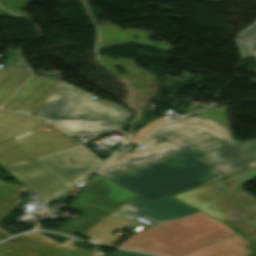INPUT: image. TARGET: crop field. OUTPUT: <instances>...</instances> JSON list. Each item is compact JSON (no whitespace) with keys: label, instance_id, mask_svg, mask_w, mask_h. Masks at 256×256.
<instances>
[{"label":"crop field","instance_id":"22f410ed","mask_svg":"<svg viewBox=\"0 0 256 256\" xmlns=\"http://www.w3.org/2000/svg\"><path fill=\"white\" fill-rule=\"evenodd\" d=\"M13 240L46 256H61L76 248L72 239L59 244L38 233L23 234Z\"/></svg>","mask_w":256,"mask_h":256},{"label":"crop field","instance_id":"733c2abd","mask_svg":"<svg viewBox=\"0 0 256 256\" xmlns=\"http://www.w3.org/2000/svg\"><path fill=\"white\" fill-rule=\"evenodd\" d=\"M239 44L244 52V57L256 56V51L254 50V46L256 45V24L242 33L239 38Z\"/></svg>","mask_w":256,"mask_h":256},{"label":"crop field","instance_id":"d8731c3e","mask_svg":"<svg viewBox=\"0 0 256 256\" xmlns=\"http://www.w3.org/2000/svg\"><path fill=\"white\" fill-rule=\"evenodd\" d=\"M195 212L198 211L170 196L151 202L138 195L111 213L110 216L130 221L141 217L158 225Z\"/></svg>","mask_w":256,"mask_h":256},{"label":"crop field","instance_id":"214f88e0","mask_svg":"<svg viewBox=\"0 0 256 256\" xmlns=\"http://www.w3.org/2000/svg\"><path fill=\"white\" fill-rule=\"evenodd\" d=\"M175 122H181V123H187V124H191V125H195V126L206 127L208 129H210L211 131H213L214 133H216L217 135H219L220 137H222L223 139L231 142V137L226 132L220 130L219 128H217L216 126L212 125L211 123H209L207 121L194 120V119H181V120H177Z\"/></svg>","mask_w":256,"mask_h":256},{"label":"crop field","instance_id":"730fd06b","mask_svg":"<svg viewBox=\"0 0 256 256\" xmlns=\"http://www.w3.org/2000/svg\"><path fill=\"white\" fill-rule=\"evenodd\" d=\"M253 247H256V244L249 246V248H253ZM255 251H256V249H255ZM254 256H256V255H254Z\"/></svg>","mask_w":256,"mask_h":256},{"label":"crop field","instance_id":"412701ff","mask_svg":"<svg viewBox=\"0 0 256 256\" xmlns=\"http://www.w3.org/2000/svg\"><path fill=\"white\" fill-rule=\"evenodd\" d=\"M233 233L235 231L226 225L198 212L155 227L147 226L128 238L120 247L180 256Z\"/></svg>","mask_w":256,"mask_h":256},{"label":"crop field","instance_id":"eef30255","mask_svg":"<svg viewBox=\"0 0 256 256\" xmlns=\"http://www.w3.org/2000/svg\"><path fill=\"white\" fill-rule=\"evenodd\" d=\"M211 1H221V0H211Z\"/></svg>","mask_w":256,"mask_h":256},{"label":"crop field","instance_id":"a9b5d70f","mask_svg":"<svg viewBox=\"0 0 256 256\" xmlns=\"http://www.w3.org/2000/svg\"><path fill=\"white\" fill-rule=\"evenodd\" d=\"M11 74V72L0 70V84Z\"/></svg>","mask_w":256,"mask_h":256},{"label":"crop field","instance_id":"ac0d7876","mask_svg":"<svg viewBox=\"0 0 256 256\" xmlns=\"http://www.w3.org/2000/svg\"><path fill=\"white\" fill-rule=\"evenodd\" d=\"M232 144L256 161V138ZM256 177V167L195 189L174 195L214 218L239 229L256 242V197L241 189V184ZM222 182L224 186H221ZM248 239V240H249Z\"/></svg>","mask_w":256,"mask_h":256},{"label":"crop field","instance_id":"92a150f3","mask_svg":"<svg viewBox=\"0 0 256 256\" xmlns=\"http://www.w3.org/2000/svg\"><path fill=\"white\" fill-rule=\"evenodd\" d=\"M63 256H104V255H102L100 252H98L95 249L88 251V250L77 247L76 249L72 250L71 252Z\"/></svg>","mask_w":256,"mask_h":256},{"label":"crop field","instance_id":"28ad6ade","mask_svg":"<svg viewBox=\"0 0 256 256\" xmlns=\"http://www.w3.org/2000/svg\"><path fill=\"white\" fill-rule=\"evenodd\" d=\"M249 243L236 233L183 256H248L253 253L246 249Z\"/></svg>","mask_w":256,"mask_h":256},{"label":"crop field","instance_id":"5142ce71","mask_svg":"<svg viewBox=\"0 0 256 256\" xmlns=\"http://www.w3.org/2000/svg\"><path fill=\"white\" fill-rule=\"evenodd\" d=\"M172 152L169 149H166V151L160 152L157 148L154 147H146L144 150L131 153V154H125V153H116L108 162L104 164V166L99 170H106L118 166L125 165L127 163L135 162L138 160L146 159L149 157L161 155L164 153Z\"/></svg>","mask_w":256,"mask_h":256},{"label":"crop field","instance_id":"f4fd0767","mask_svg":"<svg viewBox=\"0 0 256 256\" xmlns=\"http://www.w3.org/2000/svg\"><path fill=\"white\" fill-rule=\"evenodd\" d=\"M136 195L97 174L85 186L82 194L69 205L85 214L56 232L80 235ZM86 217L89 219L84 220ZM77 221L82 223L72 226Z\"/></svg>","mask_w":256,"mask_h":256},{"label":"crop field","instance_id":"dafd665d","mask_svg":"<svg viewBox=\"0 0 256 256\" xmlns=\"http://www.w3.org/2000/svg\"><path fill=\"white\" fill-rule=\"evenodd\" d=\"M18 187H19V185H17V184H10V183L0 181V198L4 195L10 193L11 191H13L14 189H16Z\"/></svg>","mask_w":256,"mask_h":256},{"label":"crop field","instance_id":"bc2a9ffb","mask_svg":"<svg viewBox=\"0 0 256 256\" xmlns=\"http://www.w3.org/2000/svg\"><path fill=\"white\" fill-rule=\"evenodd\" d=\"M170 120V118L162 117L156 119L151 123L144 126L139 132H137L129 142L131 143H141L147 136H149L156 128Z\"/></svg>","mask_w":256,"mask_h":256},{"label":"crop field","instance_id":"8a807250","mask_svg":"<svg viewBox=\"0 0 256 256\" xmlns=\"http://www.w3.org/2000/svg\"><path fill=\"white\" fill-rule=\"evenodd\" d=\"M142 145L174 152L96 173L154 201L225 177L193 155L226 175L256 166L213 132L187 124L170 122Z\"/></svg>","mask_w":256,"mask_h":256},{"label":"crop field","instance_id":"00972430","mask_svg":"<svg viewBox=\"0 0 256 256\" xmlns=\"http://www.w3.org/2000/svg\"><path fill=\"white\" fill-rule=\"evenodd\" d=\"M6 54L8 59L19 58L17 50L7 49Z\"/></svg>","mask_w":256,"mask_h":256},{"label":"crop field","instance_id":"4177f3b9","mask_svg":"<svg viewBox=\"0 0 256 256\" xmlns=\"http://www.w3.org/2000/svg\"><path fill=\"white\" fill-rule=\"evenodd\" d=\"M194 157V156H193ZM196 158V157H195ZM199 160V159H198ZM204 163V162H203ZM206 164V163H205ZM208 165V164H207ZM208 166H210V165H208ZM211 167V166H210ZM211 168H213V167H211ZM213 169H215V168H213ZM216 170V169H215ZM216 171H218V170H216ZM218 172H220V171H218ZM221 173V172H220ZM221 174H223V173H221ZM223 175H225V174H223ZM226 176V175H225Z\"/></svg>","mask_w":256,"mask_h":256},{"label":"crop field","instance_id":"d9b57169","mask_svg":"<svg viewBox=\"0 0 256 256\" xmlns=\"http://www.w3.org/2000/svg\"><path fill=\"white\" fill-rule=\"evenodd\" d=\"M27 190H29L28 187L21 186L0 199V219H2L8 212H10L16 204L21 202L19 200V195ZM0 235L8 237L12 234L0 228Z\"/></svg>","mask_w":256,"mask_h":256},{"label":"crop field","instance_id":"34b2d1b8","mask_svg":"<svg viewBox=\"0 0 256 256\" xmlns=\"http://www.w3.org/2000/svg\"><path fill=\"white\" fill-rule=\"evenodd\" d=\"M82 93V96H79ZM60 82L37 115L54 122L67 133L88 134L119 130L133 115L106 100Z\"/></svg>","mask_w":256,"mask_h":256},{"label":"crop field","instance_id":"5a996713","mask_svg":"<svg viewBox=\"0 0 256 256\" xmlns=\"http://www.w3.org/2000/svg\"><path fill=\"white\" fill-rule=\"evenodd\" d=\"M3 169L9 171L22 183L39 194L44 205L68 189L31 159Z\"/></svg>","mask_w":256,"mask_h":256},{"label":"crop field","instance_id":"ae1a2a85","mask_svg":"<svg viewBox=\"0 0 256 256\" xmlns=\"http://www.w3.org/2000/svg\"><path fill=\"white\" fill-rule=\"evenodd\" d=\"M2 239H4V238H1V237H0V240H2Z\"/></svg>","mask_w":256,"mask_h":256},{"label":"crop field","instance_id":"cbeb9de0","mask_svg":"<svg viewBox=\"0 0 256 256\" xmlns=\"http://www.w3.org/2000/svg\"><path fill=\"white\" fill-rule=\"evenodd\" d=\"M6 70L13 73L0 85V105L31 75L26 67L6 65Z\"/></svg>","mask_w":256,"mask_h":256},{"label":"crop field","instance_id":"3316defc","mask_svg":"<svg viewBox=\"0 0 256 256\" xmlns=\"http://www.w3.org/2000/svg\"><path fill=\"white\" fill-rule=\"evenodd\" d=\"M56 84L55 80L32 76L2 108L34 114Z\"/></svg>","mask_w":256,"mask_h":256},{"label":"crop field","instance_id":"e52e79f7","mask_svg":"<svg viewBox=\"0 0 256 256\" xmlns=\"http://www.w3.org/2000/svg\"><path fill=\"white\" fill-rule=\"evenodd\" d=\"M73 145L76 144L66 136L35 129L28 134L0 144V165L4 167Z\"/></svg>","mask_w":256,"mask_h":256},{"label":"crop field","instance_id":"d1516ede","mask_svg":"<svg viewBox=\"0 0 256 256\" xmlns=\"http://www.w3.org/2000/svg\"><path fill=\"white\" fill-rule=\"evenodd\" d=\"M43 121L40 118L0 110V142L27 132Z\"/></svg>","mask_w":256,"mask_h":256},{"label":"crop field","instance_id":"dd49c442","mask_svg":"<svg viewBox=\"0 0 256 256\" xmlns=\"http://www.w3.org/2000/svg\"><path fill=\"white\" fill-rule=\"evenodd\" d=\"M32 160L68 188L93 172L103 162L83 144L32 158Z\"/></svg>","mask_w":256,"mask_h":256},{"label":"crop field","instance_id":"4a817a6b","mask_svg":"<svg viewBox=\"0 0 256 256\" xmlns=\"http://www.w3.org/2000/svg\"><path fill=\"white\" fill-rule=\"evenodd\" d=\"M0 256H40L10 240L0 244Z\"/></svg>","mask_w":256,"mask_h":256}]
</instances>
